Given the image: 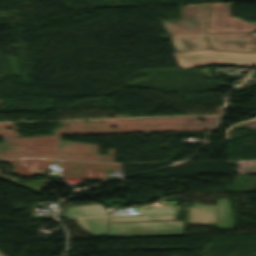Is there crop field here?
I'll return each instance as SVG.
<instances>
[{"mask_svg":"<svg viewBox=\"0 0 256 256\" xmlns=\"http://www.w3.org/2000/svg\"><path fill=\"white\" fill-rule=\"evenodd\" d=\"M208 3L185 5L181 19L161 20L167 34L205 32Z\"/></svg>","mask_w":256,"mask_h":256,"instance_id":"4","label":"crop field"},{"mask_svg":"<svg viewBox=\"0 0 256 256\" xmlns=\"http://www.w3.org/2000/svg\"><path fill=\"white\" fill-rule=\"evenodd\" d=\"M3 177H5V175H2L1 171H0V179L3 178Z\"/></svg>","mask_w":256,"mask_h":256,"instance_id":"13","label":"crop field"},{"mask_svg":"<svg viewBox=\"0 0 256 256\" xmlns=\"http://www.w3.org/2000/svg\"><path fill=\"white\" fill-rule=\"evenodd\" d=\"M216 203L217 206L193 203V207H189L187 224H217L220 228H231L228 199H219Z\"/></svg>","mask_w":256,"mask_h":256,"instance_id":"6","label":"crop field"},{"mask_svg":"<svg viewBox=\"0 0 256 256\" xmlns=\"http://www.w3.org/2000/svg\"><path fill=\"white\" fill-rule=\"evenodd\" d=\"M233 2L211 3L207 33L256 32V22L230 16Z\"/></svg>","mask_w":256,"mask_h":256,"instance_id":"5","label":"crop field"},{"mask_svg":"<svg viewBox=\"0 0 256 256\" xmlns=\"http://www.w3.org/2000/svg\"><path fill=\"white\" fill-rule=\"evenodd\" d=\"M179 207L144 208L141 215L79 219L76 223L92 236L142 237L182 235V221H174Z\"/></svg>","mask_w":256,"mask_h":256,"instance_id":"1","label":"crop field"},{"mask_svg":"<svg viewBox=\"0 0 256 256\" xmlns=\"http://www.w3.org/2000/svg\"><path fill=\"white\" fill-rule=\"evenodd\" d=\"M13 166L12 173L23 177L33 176L43 170L51 162L49 160H1Z\"/></svg>","mask_w":256,"mask_h":256,"instance_id":"10","label":"crop field"},{"mask_svg":"<svg viewBox=\"0 0 256 256\" xmlns=\"http://www.w3.org/2000/svg\"><path fill=\"white\" fill-rule=\"evenodd\" d=\"M108 215L100 204L68 207L63 213L65 218H81Z\"/></svg>","mask_w":256,"mask_h":256,"instance_id":"11","label":"crop field"},{"mask_svg":"<svg viewBox=\"0 0 256 256\" xmlns=\"http://www.w3.org/2000/svg\"><path fill=\"white\" fill-rule=\"evenodd\" d=\"M0 256H3V255L0 253Z\"/></svg>","mask_w":256,"mask_h":256,"instance_id":"14","label":"crop field"},{"mask_svg":"<svg viewBox=\"0 0 256 256\" xmlns=\"http://www.w3.org/2000/svg\"><path fill=\"white\" fill-rule=\"evenodd\" d=\"M61 172L65 179H102L106 180L104 169L121 170V165L63 161Z\"/></svg>","mask_w":256,"mask_h":256,"instance_id":"7","label":"crop field"},{"mask_svg":"<svg viewBox=\"0 0 256 256\" xmlns=\"http://www.w3.org/2000/svg\"><path fill=\"white\" fill-rule=\"evenodd\" d=\"M179 67H195L217 64L218 66L256 65V51L254 54L235 53L227 51L198 50L173 53Z\"/></svg>","mask_w":256,"mask_h":256,"instance_id":"3","label":"crop field"},{"mask_svg":"<svg viewBox=\"0 0 256 256\" xmlns=\"http://www.w3.org/2000/svg\"><path fill=\"white\" fill-rule=\"evenodd\" d=\"M99 145L60 141V136L3 138L0 158H54L114 162L115 150L98 155Z\"/></svg>","mask_w":256,"mask_h":256,"instance_id":"2","label":"crop field"},{"mask_svg":"<svg viewBox=\"0 0 256 256\" xmlns=\"http://www.w3.org/2000/svg\"><path fill=\"white\" fill-rule=\"evenodd\" d=\"M213 49L253 52L256 48V36L249 33L207 34Z\"/></svg>","mask_w":256,"mask_h":256,"instance_id":"8","label":"crop field"},{"mask_svg":"<svg viewBox=\"0 0 256 256\" xmlns=\"http://www.w3.org/2000/svg\"><path fill=\"white\" fill-rule=\"evenodd\" d=\"M175 51L209 48L205 33L168 35Z\"/></svg>","mask_w":256,"mask_h":256,"instance_id":"9","label":"crop field"},{"mask_svg":"<svg viewBox=\"0 0 256 256\" xmlns=\"http://www.w3.org/2000/svg\"><path fill=\"white\" fill-rule=\"evenodd\" d=\"M48 180L49 179H37L34 181H30V182H18L17 184L36 191L41 185H43Z\"/></svg>","mask_w":256,"mask_h":256,"instance_id":"12","label":"crop field"}]
</instances>
